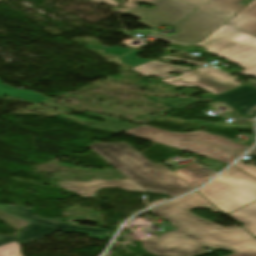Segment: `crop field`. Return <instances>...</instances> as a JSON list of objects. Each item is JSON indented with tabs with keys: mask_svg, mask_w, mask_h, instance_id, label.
Returning <instances> with one entry per match:
<instances>
[{
	"mask_svg": "<svg viewBox=\"0 0 256 256\" xmlns=\"http://www.w3.org/2000/svg\"><path fill=\"white\" fill-rule=\"evenodd\" d=\"M201 207L221 212L197 192L151 209L179 230L166 232L153 241H141L142 249L154 256H196L204 254L202 246L234 252L227 256H256V239L242 227L225 230L204 220L190 209Z\"/></svg>",
	"mask_w": 256,
	"mask_h": 256,
	"instance_id": "crop-field-1",
	"label": "crop field"
},
{
	"mask_svg": "<svg viewBox=\"0 0 256 256\" xmlns=\"http://www.w3.org/2000/svg\"><path fill=\"white\" fill-rule=\"evenodd\" d=\"M98 155L115 166L129 180H93L91 182H59V186L83 197L93 198L101 188H121L125 191H150L169 195L171 198L190 190L163 164H152L125 142L89 145ZM114 167V168H115Z\"/></svg>",
	"mask_w": 256,
	"mask_h": 256,
	"instance_id": "crop-field-2",
	"label": "crop field"
},
{
	"mask_svg": "<svg viewBox=\"0 0 256 256\" xmlns=\"http://www.w3.org/2000/svg\"><path fill=\"white\" fill-rule=\"evenodd\" d=\"M139 138L151 140L166 146L188 150L200 156L224 163H231L240 156L248 146L203 131L192 133H170L147 125L125 131Z\"/></svg>",
	"mask_w": 256,
	"mask_h": 256,
	"instance_id": "crop-field-3",
	"label": "crop field"
},
{
	"mask_svg": "<svg viewBox=\"0 0 256 256\" xmlns=\"http://www.w3.org/2000/svg\"><path fill=\"white\" fill-rule=\"evenodd\" d=\"M194 46L204 47L213 55L245 69L238 74L256 78V36L224 24L202 43Z\"/></svg>",
	"mask_w": 256,
	"mask_h": 256,
	"instance_id": "crop-field-4",
	"label": "crop field"
},
{
	"mask_svg": "<svg viewBox=\"0 0 256 256\" xmlns=\"http://www.w3.org/2000/svg\"><path fill=\"white\" fill-rule=\"evenodd\" d=\"M0 209L29 222V225L19 229V233L11 237L0 235V245L16 240L19 245L30 243L34 240L40 239L52 232H76L86 234L92 238L105 239V237H111L113 232L105 231L102 229L86 228L81 226H70L66 223L60 222L62 220H82L93 221L91 215L77 216L68 219L53 220V219H41L33 215L34 210L22 208L18 206H6L0 205ZM87 236V237H88Z\"/></svg>",
	"mask_w": 256,
	"mask_h": 256,
	"instance_id": "crop-field-5",
	"label": "crop field"
},
{
	"mask_svg": "<svg viewBox=\"0 0 256 256\" xmlns=\"http://www.w3.org/2000/svg\"><path fill=\"white\" fill-rule=\"evenodd\" d=\"M198 193L229 214L256 201V179L232 166Z\"/></svg>",
	"mask_w": 256,
	"mask_h": 256,
	"instance_id": "crop-field-6",
	"label": "crop field"
},
{
	"mask_svg": "<svg viewBox=\"0 0 256 256\" xmlns=\"http://www.w3.org/2000/svg\"><path fill=\"white\" fill-rule=\"evenodd\" d=\"M229 19L230 17L198 9L182 23L175 26L177 32L172 36L160 34L150 36L165 42L190 46L202 42Z\"/></svg>",
	"mask_w": 256,
	"mask_h": 256,
	"instance_id": "crop-field-7",
	"label": "crop field"
},
{
	"mask_svg": "<svg viewBox=\"0 0 256 256\" xmlns=\"http://www.w3.org/2000/svg\"><path fill=\"white\" fill-rule=\"evenodd\" d=\"M182 74L183 75L178 77L167 78L162 82L173 86L199 87L214 94L202 96L206 98H211L215 95L242 86L235 82L237 78L230 77V75L211 67L199 68L196 69V71H188Z\"/></svg>",
	"mask_w": 256,
	"mask_h": 256,
	"instance_id": "crop-field-8",
	"label": "crop field"
},
{
	"mask_svg": "<svg viewBox=\"0 0 256 256\" xmlns=\"http://www.w3.org/2000/svg\"><path fill=\"white\" fill-rule=\"evenodd\" d=\"M151 4L155 6L153 9L136 7L121 14L137 17L141 19L139 23L148 27H157L160 25L174 26L195 10V8L166 0H156Z\"/></svg>",
	"mask_w": 256,
	"mask_h": 256,
	"instance_id": "crop-field-9",
	"label": "crop field"
},
{
	"mask_svg": "<svg viewBox=\"0 0 256 256\" xmlns=\"http://www.w3.org/2000/svg\"><path fill=\"white\" fill-rule=\"evenodd\" d=\"M211 99L228 103L245 118H254L256 115V88L251 86H242Z\"/></svg>",
	"mask_w": 256,
	"mask_h": 256,
	"instance_id": "crop-field-10",
	"label": "crop field"
},
{
	"mask_svg": "<svg viewBox=\"0 0 256 256\" xmlns=\"http://www.w3.org/2000/svg\"><path fill=\"white\" fill-rule=\"evenodd\" d=\"M161 58H169V59H174V60L197 64V65L203 64V63H199V62H195V61H191V60L179 59V58L168 57V56H163ZM187 69H190V68L175 67V66H171L169 64L161 63V62L154 60V61L144 63L142 65H139V66L133 68L132 70L142 74L143 76H156V77L165 78V77L171 76V75H169V73H179V72H182Z\"/></svg>",
	"mask_w": 256,
	"mask_h": 256,
	"instance_id": "crop-field-11",
	"label": "crop field"
},
{
	"mask_svg": "<svg viewBox=\"0 0 256 256\" xmlns=\"http://www.w3.org/2000/svg\"><path fill=\"white\" fill-rule=\"evenodd\" d=\"M174 173L194 189L208 181L215 174L195 162L174 171Z\"/></svg>",
	"mask_w": 256,
	"mask_h": 256,
	"instance_id": "crop-field-12",
	"label": "crop field"
},
{
	"mask_svg": "<svg viewBox=\"0 0 256 256\" xmlns=\"http://www.w3.org/2000/svg\"><path fill=\"white\" fill-rule=\"evenodd\" d=\"M225 24L256 35V0L249 3L241 12Z\"/></svg>",
	"mask_w": 256,
	"mask_h": 256,
	"instance_id": "crop-field-13",
	"label": "crop field"
},
{
	"mask_svg": "<svg viewBox=\"0 0 256 256\" xmlns=\"http://www.w3.org/2000/svg\"><path fill=\"white\" fill-rule=\"evenodd\" d=\"M251 1L252 0H208L200 9L232 17Z\"/></svg>",
	"mask_w": 256,
	"mask_h": 256,
	"instance_id": "crop-field-14",
	"label": "crop field"
},
{
	"mask_svg": "<svg viewBox=\"0 0 256 256\" xmlns=\"http://www.w3.org/2000/svg\"><path fill=\"white\" fill-rule=\"evenodd\" d=\"M244 223L243 228L256 237V202L228 215Z\"/></svg>",
	"mask_w": 256,
	"mask_h": 256,
	"instance_id": "crop-field-15",
	"label": "crop field"
},
{
	"mask_svg": "<svg viewBox=\"0 0 256 256\" xmlns=\"http://www.w3.org/2000/svg\"><path fill=\"white\" fill-rule=\"evenodd\" d=\"M41 104L47 105V106H50V107H53V108H56V109H60V110H69L67 108H63L61 106L56 105L54 102H52L50 100L41 102ZM70 111H72V110H70ZM83 114H87V115H90V116L101 118V119L107 120L109 122L99 124V123H96V122H93V121H89V120H86V119L73 117V116H69V115H59V118L71 120V121H74V122H77V123H80V124H83V125H86V126H90V127H93V128H98V127L107 125L109 123L119 121V120H116V119H112V118H109V117H106V116H102V115H98V114H94V113H90V112H86V113H83Z\"/></svg>",
	"mask_w": 256,
	"mask_h": 256,
	"instance_id": "crop-field-16",
	"label": "crop field"
},
{
	"mask_svg": "<svg viewBox=\"0 0 256 256\" xmlns=\"http://www.w3.org/2000/svg\"><path fill=\"white\" fill-rule=\"evenodd\" d=\"M2 81L3 80L0 79V97L3 95H8L14 98L30 100L34 102H41L47 100V98L43 97L41 94L33 93L26 90H18L8 85L1 84Z\"/></svg>",
	"mask_w": 256,
	"mask_h": 256,
	"instance_id": "crop-field-17",
	"label": "crop field"
},
{
	"mask_svg": "<svg viewBox=\"0 0 256 256\" xmlns=\"http://www.w3.org/2000/svg\"><path fill=\"white\" fill-rule=\"evenodd\" d=\"M149 98L156 101L160 99L159 102H162L164 104L170 105L175 108H183L195 102V98H162V97H157V98L149 97ZM177 105H179V107H176Z\"/></svg>",
	"mask_w": 256,
	"mask_h": 256,
	"instance_id": "crop-field-18",
	"label": "crop field"
},
{
	"mask_svg": "<svg viewBox=\"0 0 256 256\" xmlns=\"http://www.w3.org/2000/svg\"><path fill=\"white\" fill-rule=\"evenodd\" d=\"M20 246L16 241L0 246V256H21Z\"/></svg>",
	"mask_w": 256,
	"mask_h": 256,
	"instance_id": "crop-field-19",
	"label": "crop field"
},
{
	"mask_svg": "<svg viewBox=\"0 0 256 256\" xmlns=\"http://www.w3.org/2000/svg\"><path fill=\"white\" fill-rule=\"evenodd\" d=\"M141 52H142V51H140V50L133 51V52H131V53H129V54L123 56V57L121 58V62H122V63H125V64H129V65L137 66V65H139V64H142V63H144V62L149 61V60H144V59H141V58L136 57V55H137L138 53H141Z\"/></svg>",
	"mask_w": 256,
	"mask_h": 256,
	"instance_id": "crop-field-20",
	"label": "crop field"
},
{
	"mask_svg": "<svg viewBox=\"0 0 256 256\" xmlns=\"http://www.w3.org/2000/svg\"><path fill=\"white\" fill-rule=\"evenodd\" d=\"M132 127H134V126H130V125H127L125 123L119 122L117 124H114V125H111V126H108V127L100 128L99 130H103V131L118 134V133H120L122 131H125L127 129H130Z\"/></svg>",
	"mask_w": 256,
	"mask_h": 256,
	"instance_id": "crop-field-21",
	"label": "crop field"
},
{
	"mask_svg": "<svg viewBox=\"0 0 256 256\" xmlns=\"http://www.w3.org/2000/svg\"><path fill=\"white\" fill-rule=\"evenodd\" d=\"M191 121L196 122V123L205 124V125L220 127L223 129H228V128L251 129L247 125H237V124H227V123H208V122H199V121H195V120H191Z\"/></svg>",
	"mask_w": 256,
	"mask_h": 256,
	"instance_id": "crop-field-22",
	"label": "crop field"
},
{
	"mask_svg": "<svg viewBox=\"0 0 256 256\" xmlns=\"http://www.w3.org/2000/svg\"><path fill=\"white\" fill-rule=\"evenodd\" d=\"M85 46L86 47H92V48H98V49H104L105 53L116 54V55H122V54L132 50V49H127V48H121V47H118V46H115V47H112V48L91 46V45H85Z\"/></svg>",
	"mask_w": 256,
	"mask_h": 256,
	"instance_id": "crop-field-23",
	"label": "crop field"
},
{
	"mask_svg": "<svg viewBox=\"0 0 256 256\" xmlns=\"http://www.w3.org/2000/svg\"><path fill=\"white\" fill-rule=\"evenodd\" d=\"M233 166H235V167L245 171L246 173L256 177V166L246 165V164L242 163L241 161L237 162Z\"/></svg>",
	"mask_w": 256,
	"mask_h": 256,
	"instance_id": "crop-field-24",
	"label": "crop field"
},
{
	"mask_svg": "<svg viewBox=\"0 0 256 256\" xmlns=\"http://www.w3.org/2000/svg\"><path fill=\"white\" fill-rule=\"evenodd\" d=\"M176 3L188 5L197 8L199 5H201L205 0H170Z\"/></svg>",
	"mask_w": 256,
	"mask_h": 256,
	"instance_id": "crop-field-25",
	"label": "crop field"
},
{
	"mask_svg": "<svg viewBox=\"0 0 256 256\" xmlns=\"http://www.w3.org/2000/svg\"><path fill=\"white\" fill-rule=\"evenodd\" d=\"M135 1H141V2H144V3H148V2H151L153 0H127L126 4L124 6L127 7L128 9L134 8V7L137 6L134 3ZM128 9H119L118 12L121 13V12L126 11Z\"/></svg>",
	"mask_w": 256,
	"mask_h": 256,
	"instance_id": "crop-field-26",
	"label": "crop field"
},
{
	"mask_svg": "<svg viewBox=\"0 0 256 256\" xmlns=\"http://www.w3.org/2000/svg\"><path fill=\"white\" fill-rule=\"evenodd\" d=\"M90 1L96 2V3H98V4H100V3H105V4H109V5H113V6L118 5V3H114V2H111V1H109V0H90Z\"/></svg>",
	"mask_w": 256,
	"mask_h": 256,
	"instance_id": "crop-field-27",
	"label": "crop field"
},
{
	"mask_svg": "<svg viewBox=\"0 0 256 256\" xmlns=\"http://www.w3.org/2000/svg\"><path fill=\"white\" fill-rule=\"evenodd\" d=\"M135 32L141 33V34L152 33V32L144 31V30H140V29L135 30Z\"/></svg>",
	"mask_w": 256,
	"mask_h": 256,
	"instance_id": "crop-field-28",
	"label": "crop field"
},
{
	"mask_svg": "<svg viewBox=\"0 0 256 256\" xmlns=\"http://www.w3.org/2000/svg\"><path fill=\"white\" fill-rule=\"evenodd\" d=\"M250 153H252V154H256V147L255 148H253L252 150H251V152Z\"/></svg>",
	"mask_w": 256,
	"mask_h": 256,
	"instance_id": "crop-field-29",
	"label": "crop field"
},
{
	"mask_svg": "<svg viewBox=\"0 0 256 256\" xmlns=\"http://www.w3.org/2000/svg\"><path fill=\"white\" fill-rule=\"evenodd\" d=\"M111 1H114V2H116L115 0H111Z\"/></svg>",
	"mask_w": 256,
	"mask_h": 256,
	"instance_id": "crop-field-30",
	"label": "crop field"
},
{
	"mask_svg": "<svg viewBox=\"0 0 256 256\" xmlns=\"http://www.w3.org/2000/svg\"><path fill=\"white\" fill-rule=\"evenodd\" d=\"M1 1V0H0Z\"/></svg>",
	"mask_w": 256,
	"mask_h": 256,
	"instance_id": "crop-field-31",
	"label": "crop field"
}]
</instances>
